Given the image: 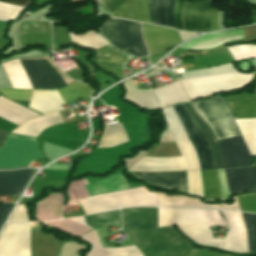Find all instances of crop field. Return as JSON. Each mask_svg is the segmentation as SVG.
<instances>
[{
	"label": "crop field",
	"mask_w": 256,
	"mask_h": 256,
	"mask_svg": "<svg viewBox=\"0 0 256 256\" xmlns=\"http://www.w3.org/2000/svg\"><path fill=\"white\" fill-rule=\"evenodd\" d=\"M121 214L123 230L144 256H190L198 250L173 226L157 228V208H127Z\"/></svg>",
	"instance_id": "1"
},
{
	"label": "crop field",
	"mask_w": 256,
	"mask_h": 256,
	"mask_svg": "<svg viewBox=\"0 0 256 256\" xmlns=\"http://www.w3.org/2000/svg\"><path fill=\"white\" fill-rule=\"evenodd\" d=\"M174 224L197 243L222 249V239H212L209 227L226 225L218 210L158 208V227Z\"/></svg>",
	"instance_id": "2"
},
{
	"label": "crop field",
	"mask_w": 256,
	"mask_h": 256,
	"mask_svg": "<svg viewBox=\"0 0 256 256\" xmlns=\"http://www.w3.org/2000/svg\"><path fill=\"white\" fill-rule=\"evenodd\" d=\"M170 132L182 157L147 158L143 157L130 171H190L200 170L197 154L188 140L184 129L172 107L162 109Z\"/></svg>",
	"instance_id": "3"
},
{
	"label": "crop field",
	"mask_w": 256,
	"mask_h": 256,
	"mask_svg": "<svg viewBox=\"0 0 256 256\" xmlns=\"http://www.w3.org/2000/svg\"><path fill=\"white\" fill-rule=\"evenodd\" d=\"M225 168L252 165V160L241 136L219 141ZM230 194L256 189V165L225 169Z\"/></svg>",
	"instance_id": "4"
},
{
	"label": "crop field",
	"mask_w": 256,
	"mask_h": 256,
	"mask_svg": "<svg viewBox=\"0 0 256 256\" xmlns=\"http://www.w3.org/2000/svg\"><path fill=\"white\" fill-rule=\"evenodd\" d=\"M85 214L128 206H157L156 192L145 186L122 190L77 201Z\"/></svg>",
	"instance_id": "5"
},
{
	"label": "crop field",
	"mask_w": 256,
	"mask_h": 256,
	"mask_svg": "<svg viewBox=\"0 0 256 256\" xmlns=\"http://www.w3.org/2000/svg\"><path fill=\"white\" fill-rule=\"evenodd\" d=\"M193 106L211 127L217 140L241 135L223 96L193 103Z\"/></svg>",
	"instance_id": "6"
},
{
	"label": "crop field",
	"mask_w": 256,
	"mask_h": 256,
	"mask_svg": "<svg viewBox=\"0 0 256 256\" xmlns=\"http://www.w3.org/2000/svg\"><path fill=\"white\" fill-rule=\"evenodd\" d=\"M121 22V19L109 18L101 31L102 35L116 47ZM118 48L134 54L137 58L147 55L141 38L140 23L123 20Z\"/></svg>",
	"instance_id": "7"
},
{
	"label": "crop field",
	"mask_w": 256,
	"mask_h": 256,
	"mask_svg": "<svg viewBox=\"0 0 256 256\" xmlns=\"http://www.w3.org/2000/svg\"><path fill=\"white\" fill-rule=\"evenodd\" d=\"M42 158L35 138L9 134L4 148H0V168L26 166Z\"/></svg>",
	"instance_id": "8"
},
{
	"label": "crop field",
	"mask_w": 256,
	"mask_h": 256,
	"mask_svg": "<svg viewBox=\"0 0 256 256\" xmlns=\"http://www.w3.org/2000/svg\"><path fill=\"white\" fill-rule=\"evenodd\" d=\"M34 89H59L72 82L49 58L21 59Z\"/></svg>",
	"instance_id": "9"
},
{
	"label": "crop field",
	"mask_w": 256,
	"mask_h": 256,
	"mask_svg": "<svg viewBox=\"0 0 256 256\" xmlns=\"http://www.w3.org/2000/svg\"><path fill=\"white\" fill-rule=\"evenodd\" d=\"M253 75V74H252ZM251 74L229 73L180 81L189 98L209 92L238 87L248 81Z\"/></svg>",
	"instance_id": "10"
},
{
	"label": "crop field",
	"mask_w": 256,
	"mask_h": 256,
	"mask_svg": "<svg viewBox=\"0 0 256 256\" xmlns=\"http://www.w3.org/2000/svg\"><path fill=\"white\" fill-rule=\"evenodd\" d=\"M172 107L176 111L188 138L197 151L201 170L215 169L209 144L202 131L187 114L182 104Z\"/></svg>",
	"instance_id": "11"
},
{
	"label": "crop field",
	"mask_w": 256,
	"mask_h": 256,
	"mask_svg": "<svg viewBox=\"0 0 256 256\" xmlns=\"http://www.w3.org/2000/svg\"><path fill=\"white\" fill-rule=\"evenodd\" d=\"M36 170L0 172V195L19 196ZM13 204H0V226Z\"/></svg>",
	"instance_id": "12"
},
{
	"label": "crop field",
	"mask_w": 256,
	"mask_h": 256,
	"mask_svg": "<svg viewBox=\"0 0 256 256\" xmlns=\"http://www.w3.org/2000/svg\"><path fill=\"white\" fill-rule=\"evenodd\" d=\"M229 224L228 234L224 238V250L248 253L245 224L240 213L223 211Z\"/></svg>",
	"instance_id": "13"
},
{
	"label": "crop field",
	"mask_w": 256,
	"mask_h": 256,
	"mask_svg": "<svg viewBox=\"0 0 256 256\" xmlns=\"http://www.w3.org/2000/svg\"><path fill=\"white\" fill-rule=\"evenodd\" d=\"M211 1L186 2L184 6L185 31L210 30Z\"/></svg>",
	"instance_id": "14"
},
{
	"label": "crop field",
	"mask_w": 256,
	"mask_h": 256,
	"mask_svg": "<svg viewBox=\"0 0 256 256\" xmlns=\"http://www.w3.org/2000/svg\"><path fill=\"white\" fill-rule=\"evenodd\" d=\"M172 31L171 29L142 23V33ZM148 53L174 46L181 42L178 32H160L143 34Z\"/></svg>",
	"instance_id": "15"
},
{
	"label": "crop field",
	"mask_w": 256,
	"mask_h": 256,
	"mask_svg": "<svg viewBox=\"0 0 256 256\" xmlns=\"http://www.w3.org/2000/svg\"><path fill=\"white\" fill-rule=\"evenodd\" d=\"M131 173L150 183L187 192L186 172Z\"/></svg>",
	"instance_id": "16"
},
{
	"label": "crop field",
	"mask_w": 256,
	"mask_h": 256,
	"mask_svg": "<svg viewBox=\"0 0 256 256\" xmlns=\"http://www.w3.org/2000/svg\"><path fill=\"white\" fill-rule=\"evenodd\" d=\"M63 101L56 90L38 91L33 90L29 102V108L44 114L52 111L62 110Z\"/></svg>",
	"instance_id": "17"
},
{
	"label": "crop field",
	"mask_w": 256,
	"mask_h": 256,
	"mask_svg": "<svg viewBox=\"0 0 256 256\" xmlns=\"http://www.w3.org/2000/svg\"><path fill=\"white\" fill-rule=\"evenodd\" d=\"M80 238L89 242L92 246V250L87 256H142L135 246L125 248H102L94 230L80 236Z\"/></svg>",
	"instance_id": "18"
},
{
	"label": "crop field",
	"mask_w": 256,
	"mask_h": 256,
	"mask_svg": "<svg viewBox=\"0 0 256 256\" xmlns=\"http://www.w3.org/2000/svg\"><path fill=\"white\" fill-rule=\"evenodd\" d=\"M173 4L174 0H148L151 23L174 28Z\"/></svg>",
	"instance_id": "19"
},
{
	"label": "crop field",
	"mask_w": 256,
	"mask_h": 256,
	"mask_svg": "<svg viewBox=\"0 0 256 256\" xmlns=\"http://www.w3.org/2000/svg\"><path fill=\"white\" fill-rule=\"evenodd\" d=\"M109 16L150 23L147 0H129Z\"/></svg>",
	"instance_id": "20"
},
{
	"label": "crop field",
	"mask_w": 256,
	"mask_h": 256,
	"mask_svg": "<svg viewBox=\"0 0 256 256\" xmlns=\"http://www.w3.org/2000/svg\"><path fill=\"white\" fill-rule=\"evenodd\" d=\"M161 107H167L177 102H189L179 81L152 90Z\"/></svg>",
	"instance_id": "21"
},
{
	"label": "crop field",
	"mask_w": 256,
	"mask_h": 256,
	"mask_svg": "<svg viewBox=\"0 0 256 256\" xmlns=\"http://www.w3.org/2000/svg\"><path fill=\"white\" fill-rule=\"evenodd\" d=\"M123 85L127 90L125 98L138 103L141 107L144 108L152 109L159 107L150 89H136L131 79L123 82Z\"/></svg>",
	"instance_id": "22"
},
{
	"label": "crop field",
	"mask_w": 256,
	"mask_h": 256,
	"mask_svg": "<svg viewBox=\"0 0 256 256\" xmlns=\"http://www.w3.org/2000/svg\"><path fill=\"white\" fill-rule=\"evenodd\" d=\"M157 201L158 206L219 208V205L204 204L199 199L185 196H165V194L161 192H157Z\"/></svg>",
	"instance_id": "23"
},
{
	"label": "crop field",
	"mask_w": 256,
	"mask_h": 256,
	"mask_svg": "<svg viewBox=\"0 0 256 256\" xmlns=\"http://www.w3.org/2000/svg\"><path fill=\"white\" fill-rule=\"evenodd\" d=\"M184 107L189 112V114L193 117V119L195 120L197 125L200 127V129L203 131V133L205 134V136L209 140V142L211 144V147H212L216 167L217 168H224L221 152H220V149H219V145H218V142H217L214 134L212 133L211 129L201 119V117L195 112V110L193 109L191 104H185Z\"/></svg>",
	"instance_id": "24"
},
{
	"label": "crop field",
	"mask_w": 256,
	"mask_h": 256,
	"mask_svg": "<svg viewBox=\"0 0 256 256\" xmlns=\"http://www.w3.org/2000/svg\"><path fill=\"white\" fill-rule=\"evenodd\" d=\"M62 197L54 194L50 197L37 202L36 217L52 218L61 214Z\"/></svg>",
	"instance_id": "25"
},
{
	"label": "crop field",
	"mask_w": 256,
	"mask_h": 256,
	"mask_svg": "<svg viewBox=\"0 0 256 256\" xmlns=\"http://www.w3.org/2000/svg\"><path fill=\"white\" fill-rule=\"evenodd\" d=\"M64 103H69L85 96H91L93 88L86 83H71L57 90Z\"/></svg>",
	"instance_id": "26"
},
{
	"label": "crop field",
	"mask_w": 256,
	"mask_h": 256,
	"mask_svg": "<svg viewBox=\"0 0 256 256\" xmlns=\"http://www.w3.org/2000/svg\"><path fill=\"white\" fill-rule=\"evenodd\" d=\"M86 224L96 229L103 226L121 228L119 210L88 215L85 217Z\"/></svg>",
	"instance_id": "27"
},
{
	"label": "crop field",
	"mask_w": 256,
	"mask_h": 256,
	"mask_svg": "<svg viewBox=\"0 0 256 256\" xmlns=\"http://www.w3.org/2000/svg\"><path fill=\"white\" fill-rule=\"evenodd\" d=\"M204 199H220L216 170L201 171Z\"/></svg>",
	"instance_id": "28"
},
{
	"label": "crop field",
	"mask_w": 256,
	"mask_h": 256,
	"mask_svg": "<svg viewBox=\"0 0 256 256\" xmlns=\"http://www.w3.org/2000/svg\"><path fill=\"white\" fill-rule=\"evenodd\" d=\"M233 118L256 117V100L227 102Z\"/></svg>",
	"instance_id": "29"
},
{
	"label": "crop field",
	"mask_w": 256,
	"mask_h": 256,
	"mask_svg": "<svg viewBox=\"0 0 256 256\" xmlns=\"http://www.w3.org/2000/svg\"><path fill=\"white\" fill-rule=\"evenodd\" d=\"M50 226L75 235L77 237L93 230L91 227L85 224L84 219L59 224H51Z\"/></svg>",
	"instance_id": "30"
},
{
	"label": "crop field",
	"mask_w": 256,
	"mask_h": 256,
	"mask_svg": "<svg viewBox=\"0 0 256 256\" xmlns=\"http://www.w3.org/2000/svg\"><path fill=\"white\" fill-rule=\"evenodd\" d=\"M70 35V40L71 41H75L81 45H85V46H90V47H94L96 49L108 44L103 38H101L99 35H97L96 33L90 31L82 36H78L75 34H71Z\"/></svg>",
	"instance_id": "31"
},
{
	"label": "crop field",
	"mask_w": 256,
	"mask_h": 256,
	"mask_svg": "<svg viewBox=\"0 0 256 256\" xmlns=\"http://www.w3.org/2000/svg\"><path fill=\"white\" fill-rule=\"evenodd\" d=\"M85 184H87L85 179L70 183L67 191V197L69 199L68 205L79 206L75 201L88 197V194L83 186Z\"/></svg>",
	"instance_id": "32"
},
{
	"label": "crop field",
	"mask_w": 256,
	"mask_h": 256,
	"mask_svg": "<svg viewBox=\"0 0 256 256\" xmlns=\"http://www.w3.org/2000/svg\"><path fill=\"white\" fill-rule=\"evenodd\" d=\"M249 239V252L256 253V214L242 213Z\"/></svg>",
	"instance_id": "33"
},
{
	"label": "crop field",
	"mask_w": 256,
	"mask_h": 256,
	"mask_svg": "<svg viewBox=\"0 0 256 256\" xmlns=\"http://www.w3.org/2000/svg\"><path fill=\"white\" fill-rule=\"evenodd\" d=\"M26 32L50 34L48 22L23 20L20 22L19 36Z\"/></svg>",
	"instance_id": "34"
},
{
	"label": "crop field",
	"mask_w": 256,
	"mask_h": 256,
	"mask_svg": "<svg viewBox=\"0 0 256 256\" xmlns=\"http://www.w3.org/2000/svg\"><path fill=\"white\" fill-rule=\"evenodd\" d=\"M235 61L256 57V45H237L227 47Z\"/></svg>",
	"instance_id": "35"
},
{
	"label": "crop field",
	"mask_w": 256,
	"mask_h": 256,
	"mask_svg": "<svg viewBox=\"0 0 256 256\" xmlns=\"http://www.w3.org/2000/svg\"><path fill=\"white\" fill-rule=\"evenodd\" d=\"M97 54L98 55L94 58V60L101 62L119 64L121 62L128 60L106 46L98 49Z\"/></svg>",
	"instance_id": "36"
},
{
	"label": "crop field",
	"mask_w": 256,
	"mask_h": 256,
	"mask_svg": "<svg viewBox=\"0 0 256 256\" xmlns=\"http://www.w3.org/2000/svg\"><path fill=\"white\" fill-rule=\"evenodd\" d=\"M188 194L203 197L200 171L187 172Z\"/></svg>",
	"instance_id": "37"
},
{
	"label": "crop field",
	"mask_w": 256,
	"mask_h": 256,
	"mask_svg": "<svg viewBox=\"0 0 256 256\" xmlns=\"http://www.w3.org/2000/svg\"><path fill=\"white\" fill-rule=\"evenodd\" d=\"M237 71L232 64L222 66V67H216V68H210L205 69L201 71H194V72H186V73H180L181 75L185 77H196V76H203V75H210V74H218V73H225V72H232Z\"/></svg>",
	"instance_id": "38"
},
{
	"label": "crop field",
	"mask_w": 256,
	"mask_h": 256,
	"mask_svg": "<svg viewBox=\"0 0 256 256\" xmlns=\"http://www.w3.org/2000/svg\"><path fill=\"white\" fill-rule=\"evenodd\" d=\"M241 211L256 213V193L237 197Z\"/></svg>",
	"instance_id": "39"
},
{
	"label": "crop field",
	"mask_w": 256,
	"mask_h": 256,
	"mask_svg": "<svg viewBox=\"0 0 256 256\" xmlns=\"http://www.w3.org/2000/svg\"><path fill=\"white\" fill-rule=\"evenodd\" d=\"M0 91L11 99L29 101L32 90L0 88Z\"/></svg>",
	"instance_id": "40"
},
{
	"label": "crop field",
	"mask_w": 256,
	"mask_h": 256,
	"mask_svg": "<svg viewBox=\"0 0 256 256\" xmlns=\"http://www.w3.org/2000/svg\"><path fill=\"white\" fill-rule=\"evenodd\" d=\"M183 0H175L174 5V24L175 29L183 30L182 25V10H183Z\"/></svg>",
	"instance_id": "41"
},
{
	"label": "crop field",
	"mask_w": 256,
	"mask_h": 256,
	"mask_svg": "<svg viewBox=\"0 0 256 256\" xmlns=\"http://www.w3.org/2000/svg\"><path fill=\"white\" fill-rule=\"evenodd\" d=\"M217 171H218V174H219V182H220V187H221V195L223 197L222 200H228L229 199V192H228L225 172H224V170H217Z\"/></svg>",
	"instance_id": "42"
},
{
	"label": "crop field",
	"mask_w": 256,
	"mask_h": 256,
	"mask_svg": "<svg viewBox=\"0 0 256 256\" xmlns=\"http://www.w3.org/2000/svg\"><path fill=\"white\" fill-rule=\"evenodd\" d=\"M127 0H99V2L109 11L112 12Z\"/></svg>",
	"instance_id": "43"
},
{
	"label": "crop field",
	"mask_w": 256,
	"mask_h": 256,
	"mask_svg": "<svg viewBox=\"0 0 256 256\" xmlns=\"http://www.w3.org/2000/svg\"><path fill=\"white\" fill-rule=\"evenodd\" d=\"M0 2L25 7L30 2V0H0Z\"/></svg>",
	"instance_id": "44"
},
{
	"label": "crop field",
	"mask_w": 256,
	"mask_h": 256,
	"mask_svg": "<svg viewBox=\"0 0 256 256\" xmlns=\"http://www.w3.org/2000/svg\"><path fill=\"white\" fill-rule=\"evenodd\" d=\"M234 199V203L233 204H222V208L223 209H229V210H237V211H240L239 208H238V205H237V202H236V198L233 197Z\"/></svg>",
	"instance_id": "45"
},
{
	"label": "crop field",
	"mask_w": 256,
	"mask_h": 256,
	"mask_svg": "<svg viewBox=\"0 0 256 256\" xmlns=\"http://www.w3.org/2000/svg\"><path fill=\"white\" fill-rule=\"evenodd\" d=\"M211 26L212 29L218 28L217 11H211Z\"/></svg>",
	"instance_id": "46"
},
{
	"label": "crop field",
	"mask_w": 256,
	"mask_h": 256,
	"mask_svg": "<svg viewBox=\"0 0 256 256\" xmlns=\"http://www.w3.org/2000/svg\"><path fill=\"white\" fill-rule=\"evenodd\" d=\"M7 134V132L0 131V146L4 145Z\"/></svg>",
	"instance_id": "47"
},
{
	"label": "crop field",
	"mask_w": 256,
	"mask_h": 256,
	"mask_svg": "<svg viewBox=\"0 0 256 256\" xmlns=\"http://www.w3.org/2000/svg\"><path fill=\"white\" fill-rule=\"evenodd\" d=\"M254 1H256V0H254Z\"/></svg>",
	"instance_id": "48"
}]
</instances>
